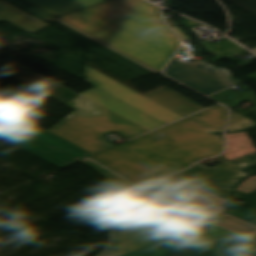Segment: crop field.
Here are the masks:
<instances>
[{"instance_id": "crop-field-15", "label": "crop field", "mask_w": 256, "mask_h": 256, "mask_svg": "<svg viewBox=\"0 0 256 256\" xmlns=\"http://www.w3.org/2000/svg\"><path fill=\"white\" fill-rule=\"evenodd\" d=\"M56 16L96 5L105 0H26Z\"/></svg>"}, {"instance_id": "crop-field-34", "label": "crop field", "mask_w": 256, "mask_h": 256, "mask_svg": "<svg viewBox=\"0 0 256 256\" xmlns=\"http://www.w3.org/2000/svg\"><path fill=\"white\" fill-rule=\"evenodd\" d=\"M10 3H14V2H17L19 0H8Z\"/></svg>"}, {"instance_id": "crop-field-6", "label": "crop field", "mask_w": 256, "mask_h": 256, "mask_svg": "<svg viewBox=\"0 0 256 256\" xmlns=\"http://www.w3.org/2000/svg\"><path fill=\"white\" fill-rule=\"evenodd\" d=\"M0 126L72 163L93 156L1 107Z\"/></svg>"}, {"instance_id": "crop-field-10", "label": "crop field", "mask_w": 256, "mask_h": 256, "mask_svg": "<svg viewBox=\"0 0 256 256\" xmlns=\"http://www.w3.org/2000/svg\"><path fill=\"white\" fill-rule=\"evenodd\" d=\"M209 224L205 222L123 256H183Z\"/></svg>"}, {"instance_id": "crop-field-4", "label": "crop field", "mask_w": 256, "mask_h": 256, "mask_svg": "<svg viewBox=\"0 0 256 256\" xmlns=\"http://www.w3.org/2000/svg\"><path fill=\"white\" fill-rule=\"evenodd\" d=\"M65 105L75 110L47 131L95 155L115 147L101 139L105 134L130 139L148 132L81 96Z\"/></svg>"}, {"instance_id": "crop-field-9", "label": "crop field", "mask_w": 256, "mask_h": 256, "mask_svg": "<svg viewBox=\"0 0 256 256\" xmlns=\"http://www.w3.org/2000/svg\"><path fill=\"white\" fill-rule=\"evenodd\" d=\"M185 256H256V243L211 225Z\"/></svg>"}, {"instance_id": "crop-field-5", "label": "crop field", "mask_w": 256, "mask_h": 256, "mask_svg": "<svg viewBox=\"0 0 256 256\" xmlns=\"http://www.w3.org/2000/svg\"><path fill=\"white\" fill-rule=\"evenodd\" d=\"M229 146L223 154L230 161L214 167L200 163L177 174L228 200V192L255 170L256 148L247 135L230 138Z\"/></svg>"}, {"instance_id": "crop-field-32", "label": "crop field", "mask_w": 256, "mask_h": 256, "mask_svg": "<svg viewBox=\"0 0 256 256\" xmlns=\"http://www.w3.org/2000/svg\"><path fill=\"white\" fill-rule=\"evenodd\" d=\"M244 134H246V133L244 132V133H240V134H231V135H227V137L230 138V137H235V136L244 135Z\"/></svg>"}, {"instance_id": "crop-field-30", "label": "crop field", "mask_w": 256, "mask_h": 256, "mask_svg": "<svg viewBox=\"0 0 256 256\" xmlns=\"http://www.w3.org/2000/svg\"><path fill=\"white\" fill-rule=\"evenodd\" d=\"M173 28L183 38V40L188 39L177 26H174Z\"/></svg>"}, {"instance_id": "crop-field-8", "label": "crop field", "mask_w": 256, "mask_h": 256, "mask_svg": "<svg viewBox=\"0 0 256 256\" xmlns=\"http://www.w3.org/2000/svg\"><path fill=\"white\" fill-rule=\"evenodd\" d=\"M85 74L88 77L85 82L166 124L182 118L170 110L145 98L146 96L144 97L111 78L95 71L87 65H85Z\"/></svg>"}, {"instance_id": "crop-field-22", "label": "crop field", "mask_w": 256, "mask_h": 256, "mask_svg": "<svg viewBox=\"0 0 256 256\" xmlns=\"http://www.w3.org/2000/svg\"><path fill=\"white\" fill-rule=\"evenodd\" d=\"M233 198L252 206L251 208L245 211L253 215H256V190L250 194L235 191L233 192Z\"/></svg>"}, {"instance_id": "crop-field-2", "label": "crop field", "mask_w": 256, "mask_h": 256, "mask_svg": "<svg viewBox=\"0 0 256 256\" xmlns=\"http://www.w3.org/2000/svg\"><path fill=\"white\" fill-rule=\"evenodd\" d=\"M58 18L159 71L179 46L157 6L143 0H112Z\"/></svg>"}, {"instance_id": "crop-field-20", "label": "crop field", "mask_w": 256, "mask_h": 256, "mask_svg": "<svg viewBox=\"0 0 256 256\" xmlns=\"http://www.w3.org/2000/svg\"><path fill=\"white\" fill-rule=\"evenodd\" d=\"M214 223L220 224L228 229H231L237 233L244 236H249L256 232V226L235 218L231 215L223 213L219 218H217Z\"/></svg>"}, {"instance_id": "crop-field-13", "label": "crop field", "mask_w": 256, "mask_h": 256, "mask_svg": "<svg viewBox=\"0 0 256 256\" xmlns=\"http://www.w3.org/2000/svg\"><path fill=\"white\" fill-rule=\"evenodd\" d=\"M145 96L183 117L205 108L167 87Z\"/></svg>"}, {"instance_id": "crop-field-18", "label": "crop field", "mask_w": 256, "mask_h": 256, "mask_svg": "<svg viewBox=\"0 0 256 256\" xmlns=\"http://www.w3.org/2000/svg\"><path fill=\"white\" fill-rule=\"evenodd\" d=\"M81 163L103 174L107 178L108 185L112 186L113 188L119 190L124 194L139 189L138 187L114 175L113 173L107 171L106 169L102 168L101 166L95 164L90 160H85Z\"/></svg>"}, {"instance_id": "crop-field-3", "label": "crop field", "mask_w": 256, "mask_h": 256, "mask_svg": "<svg viewBox=\"0 0 256 256\" xmlns=\"http://www.w3.org/2000/svg\"><path fill=\"white\" fill-rule=\"evenodd\" d=\"M203 222L157 201L121 215L107 250L121 256Z\"/></svg>"}, {"instance_id": "crop-field-12", "label": "crop field", "mask_w": 256, "mask_h": 256, "mask_svg": "<svg viewBox=\"0 0 256 256\" xmlns=\"http://www.w3.org/2000/svg\"><path fill=\"white\" fill-rule=\"evenodd\" d=\"M160 199L194 214L204 211L217 204L224 206L225 202L227 201L197 185H193Z\"/></svg>"}, {"instance_id": "crop-field-28", "label": "crop field", "mask_w": 256, "mask_h": 256, "mask_svg": "<svg viewBox=\"0 0 256 256\" xmlns=\"http://www.w3.org/2000/svg\"><path fill=\"white\" fill-rule=\"evenodd\" d=\"M183 23H185L188 27H191V26H198V25H201L195 21H192V20H188V19H184L182 20Z\"/></svg>"}, {"instance_id": "crop-field-7", "label": "crop field", "mask_w": 256, "mask_h": 256, "mask_svg": "<svg viewBox=\"0 0 256 256\" xmlns=\"http://www.w3.org/2000/svg\"><path fill=\"white\" fill-rule=\"evenodd\" d=\"M165 73L207 95L241 82L233 79L228 69L205 61L182 64L174 58Z\"/></svg>"}, {"instance_id": "crop-field-36", "label": "crop field", "mask_w": 256, "mask_h": 256, "mask_svg": "<svg viewBox=\"0 0 256 256\" xmlns=\"http://www.w3.org/2000/svg\"><path fill=\"white\" fill-rule=\"evenodd\" d=\"M7 2L6 0H0V3Z\"/></svg>"}, {"instance_id": "crop-field-27", "label": "crop field", "mask_w": 256, "mask_h": 256, "mask_svg": "<svg viewBox=\"0 0 256 256\" xmlns=\"http://www.w3.org/2000/svg\"><path fill=\"white\" fill-rule=\"evenodd\" d=\"M255 189H256V176L251 177L246 181H244L240 186L237 187L236 190L249 193Z\"/></svg>"}, {"instance_id": "crop-field-26", "label": "crop field", "mask_w": 256, "mask_h": 256, "mask_svg": "<svg viewBox=\"0 0 256 256\" xmlns=\"http://www.w3.org/2000/svg\"><path fill=\"white\" fill-rule=\"evenodd\" d=\"M226 213L231 214L235 217H238L240 219H243L245 221H248L250 223H253L256 225V216H253L251 214H248L246 212H243L237 208H234L232 206H228V209L226 210Z\"/></svg>"}, {"instance_id": "crop-field-19", "label": "crop field", "mask_w": 256, "mask_h": 256, "mask_svg": "<svg viewBox=\"0 0 256 256\" xmlns=\"http://www.w3.org/2000/svg\"><path fill=\"white\" fill-rule=\"evenodd\" d=\"M211 97L230 108L238 106V104L242 101H248L256 104V94L252 90L240 94L232 89H229Z\"/></svg>"}, {"instance_id": "crop-field-29", "label": "crop field", "mask_w": 256, "mask_h": 256, "mask_svg": "<svg viewBox=\"0 0 256 256\" xmlns=\"http://www.w3.org/2000/svg\"><path fill=\"white\" fill-rule=\"evenodd\" d=\"M97 256H117V255H115L107 250H104V251L100 252Z\"/></svg>"}, {"instance_id": "crop-field-24", "label": "crop field", "mask_w": 256, "mask_h": 256, "mask_svg": "<svg viewBox=\"0 0 256 256\" xmlns=\"http://www.w3.org/2000/svg\"><path fill=\"white\" fill-rule=\"evenodd\" d=\"M250 125H256V123L244 118L234 111L231 112L228 130H239Z\"/></svg>"}, {"instance_id": "crop-field-37", "label": "crop field", "mask_w": 256, "mask_h": 256, "mask_svg": "<svg viewBox=\"0 0 256 256\" xmlns=\"http://www.w3.org/2000/svg\"><path fill=\"white\" fill-rule=\"evenodd\" d=\"M0 22H2V20H0Z\"/></svg>"}, {"instance_id": "crop-field-16", "label": "crop field", "mask_w": 256, "mask_h": 256, "mask_svg": "<svg viewBox=\"0 0 256 256\" xmlns=\"http://www.w3.org/2000/svg\"><path fill=\"white\" fill-rule=\"evenodd\" d=\"M0 137H2L4 139L18 145V146L30 151L31 153H33V154L51 162V163H53V164H55V165H57L61 168L71 164L70 162H68V161H66V160H64V159L46 151V150H44V149L26 141V140H24V139H22V138H20L16 135H14L13 133H11V132H9V131L1 128V127H0Z\"/></svg>"}, {"instance_id": "crop-field-38", "label": "crop field", "mask_w": 256, "mask_h": 256, "mask_svg": "<svg viewBox=\"0 0 256 256\" xmlns=\"http://www.w3.org/2000/svg\"><path fill=\"white\" fill-rule=\"evenodd\" d=\"M107 1H109V0H107Z\"/></svg>"}, {"instance_id": "crop-field-35", "label": "crop field", "mask_w": 256, "mask_h": 256, "mask_svg": "<svg viewBox=\"0 0 256 256\" xmlns=\"http://www.w3.org/2000/svg\"><path fill=\"white\" fill-rule=\"evenodd\" d=\"M250 238H252V239L256 240V235H254V236H252V237H250Z\"/></svg>"}, {"instance_id": "crop-field-33", "label": "crop field", "mask_w": 256, "mask_h": 256, "mask_svg": "<svg viewBox=\"0 0 256 256\" xmlns=\"http://www.w3.org/2000/svg\"><path fill=\"white\" fill-rule=\"evenodd\" d=\"M246 77H249V78H252V79H255L256 80V72L251 74V75H248Z\"/></svg>"}, {"instance_id": "crop-field-17", "label": "crop field", "mask_w": 256, "mask_h": 256, "mask_svg": "<svg viewBox=\"0 0 256 256\" xmlns=\"http://www.w3.org/2000/svg\"><path fill=\"white\" fill-rule=\"evenodd\" d=\"M227 116L228 110L218 105L189 117L215 132H222L227 122Z\"/></svg>"}, {"instance_id": "crop-field-21", "label": "crop field", "mask_w": 256, "mask_h": 256, "mask_svg": "<svg viewBox=\"0 0 256 256\" xmlns=\"http://www.w3.org/2000/svg\"><path fill=\"white\" fill-rule=\"evenodd\" d=\"M203 45L217 55L215 58L212 59V61L248 53L247 51L243 50L242 47L238 46L230 40L214 45H211L208 42H203Z\"/></svg>"}, {"instance_id": "crop-field-14", "label": "crop field", "mask_w": 256, "mask_h": 256, "mask_svg": "<svg viewBox=\"0 0 256 256\" xmlns=\"http://www.w3.org/2000/svg\"><path fill=\"white\" fill-rule=\"evenodd\" d=\"M0 19L27 32H38L50 25L9 2L0 4Z\"/></svg>"}, {"instance_id": "crop-field-31", "label": "crop field", "mask_w": 256, "mask_h": 256, "mask_svg": "<svg viewBox=\"0 0 256 256\" xmlns=\"http://www.w3.org/2000/svg\"><path fill=\"white\" fill-rule=\"evenodd\" d=\"M249 112H256V107H253V108H250L248 110H245V112L240 113V114L244 115V114L249 113Z\"/></svg>"}, {"instance_id": "crop-field-23", "label": "crop field", "mask_w": 256, "mask_h": 256, "mask_svg": "<svg viewBox=\"0 0 256 256\" xmlns=\"http://www.w3.org/2000/svg\"><path fill=\"white\" fill-rule=\"evenodd\" d=\"M14 5H16V6L20 7V8H22V9H24V10H26V11L32 13V14H34V15H36L37 17H39V18H41V19H43L45 21H47V20H49L51 18L56 17V16H54V15H52V14H50V13H48V12H46V11L36 7V6H34V5H32V4H30V3H28V2H26L24 0H22L20 2H17Z\"/></svg>"}, {"instance_id": "crop-field-11", "label": "crop field", "mask_w": 256, "mask_h": 256, "mask_svg": "<svg viewBox=\"0 0 256 256\" xmlns=\"http://www.w3.org/2000/svg\"><path fill=\"white\" fill-rule=\"evenodd\" d=\"M80 95L149 131L165 125L95 88Z\"/></svg>"}, {"instance_id": "crop-field-1", "label": "crop field", "mask_w": 256, "mask_h": 256, "mask_svg": "<svg viewBox=\"0 0 256 256\" xmlns=\"http://www.w3.org/2000/svg\"><path fill=\"white\" fill-rule=\"evenodd\" d=\"M224 144L187 117L90 158L143 187L222 152Z\"/></svg>"}, {"instance_id": "crop-field-25", "label": "crop field", "mask_w": 256, "mask_h": 256, "mask_svg": "<svg viewBox=\"0 0 256 256\" xmlns=\"http://www.w3.org/2000/svg\"><path fill=\"white\" fill-rule=\"evenodd\" d=\"M54 19L57 20V21H59V22H61V23H63V24H65V25H67L68 27H70V28H72V29H74V30H76V31H78V32H80V33H82L83 35H85V36H87V37H89V38H91V39L97 41L98 43H100V44H102V45H104V46L110 48L111 50H113V51H115V52H117V53H119V54L125 56L126 58H128V59H130V60H132V61H134V62H136V63H138V64H140L141 66H143V67H145V68H147V69H149V70H151V71H153V72H155V73L158 72L157 70H155V69H153V68H151V67H149V66L143 64L142 62H140V61H138V60H136V59H134V58H132V57L126 55L125 53H123V52H121V51H119V50H117V49H115V48L109 46L108 44H106V43H104V42H102V41H100V40H98V39L92 37L91 35H89V34L83 32V31H81V30L75 28L74 26H72V25H70V24H68V23H66V22H64V21H62V20H60V19H58V18H54Z\"/></svg>"}]
</instances>
